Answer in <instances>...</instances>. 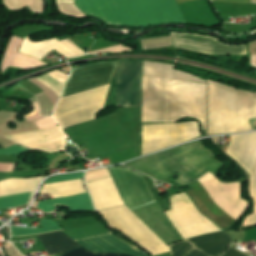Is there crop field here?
Wrapping results in <instances>:
<instances>
[{
    "mask_svg": "<svg viewBox=\"0 0 256 256\" xmlns=\"http://www.w3.org/2000/svg\"><path fill=\"white\" fill-rule=\"evenodd\" d=\"M207 84L143 76L142 121L200 120L206 130Z\"/></svg>",
    "mask_w": 256,
    "mask_h": 256,
    "instance_id": "crop-field-1",
    "label": "crop field"
},
{
    "mask_svg": "<svg viewBox=\"0 0 256 256\" xmlns=\"http://www.w3.org/2000/svg\"><path fill=\"white\" fill-rule=\"evenodd\" d=\"M147 26L164 22L186 23L175 0H131ZM130 0H75L85 14L106 24L146 27Z\"/></svg>",
    "mask_w": 256,
    "mask_h": 256,
    "instance_id": "crop-field-2",
    "label": "crop field"
},
{
    "mask_svg": "<svg viewBox=\"0 0 256 256\" xmlns=\"http://www.w3.org/2000/svg\"><path fill=\"white\" fill-rule=\"evenodd\" d=\"M172 209L164 213L179 236L184 239L220 231L206 216L198 211L186 193L171 197ZM133 212L166 244L181 241L176 231L163 215L158 203L141 207Z\"/></svg>",
    "mask_w": 256,
    "mask_h": 256,
    "instance_id": "crop-field-3",
    "label": "crop field"
},
{
    "mask_svg": "<svg viewBox=\"0 0 256 256\" xmlns=\"http://www.w3.org/2000/svg\"><path fill=\"white\" fill-rule=\"evenodd\" d=\"M126 165L159 180L168 178L176 171L181 175L175 185L190 183L208 170L214 175L222 167L201 141L128 162Z\"/></svg>",
    "mask_w": 256,
    "mask_h": 256,
    "instance_id": "crop-field-4",
    "label": "crop field"
},
{
    "mask_svg": "<svg viewBox=\"0 0 256 256\" xmlns=\"http://www.w3.org/2000/svg\"><path fill=\"white\" fill-rule=\"evenodd\" d=\"M256 118V93L209 80L208 134L250 130Z\"/></svg>",
    "mask_w": 256,
    "mask_h": 256,
    "instance_id": "crop-field-5",
    "label": "crop field"
},
{
    "mask_svg": "<svg viewBox=\"0 0 256 256\" xmlns=\"http://www.w3.org/2000/svg\"><path fill=\"white\" fill-rule=\"evenodd\" d=\"M109 85L63 97L54 109L61 128L95 119L103 108Z\"/></svg>",
    "mask_w": 256,
    "mask_h": 256,
    "instance_id": "crop-field-6",
    "label": "crop field"
},
{
    "mask_svg": "<svg viewBox=\"0 0 256 256\" xmlns=\"http://www.w3.org/2000/svg\"><path fill=\"white\" fill-rule=\"evenodd\" d=\"M143 127L142 155L162 150L200 136L197 122Z\"/></svg>",
    "mask_w": 256,
    "mask_h": 256,
    "instance_id": "crop-field-7",
    "label": "crop field"
},
{
    "mask_svg": "<svg viewBox=\"0 0 256 256\" xmlns=\"http://www.w3.org/2000/svg\"><path fill=\"white\" fill-rule=\"evenodd\" d=\"M117 61L98 62L91 65L74 68L67 80L63 96L109 84Z\"/></svg>",
    "mask_w": 256,
    "mask_h": 256,
    "instance_id": "crop-field-8",
    "label": "crop field"
},
{
    "mask_svg": "<svg viewBox=\"0 0 256 256\" xmlns=\"http://www.w3.org/2000/svg\"><path fill=\"white\" fill-rule=\"evenodd\" d=\"M107 169L130 210L155 202L142 175L122 167Z\"/></svg>",
    "mask_w": 256,
    "mask_h": 256,
    "instance_id": "crop-field-9",
    "label": "crop field"
},
{
    "mask_svg": "<svg viewBox=\"0 0 256 256\" xmlns=\"http://www.w3.org/2000/svg\"><path fill=\"white\" fill-rule=\"evenodd\" d=\"M212 199L237 220L245 212L248 203L240 197V184H222L209 171L197 179Z\"/></svg>",
    "mask_w": 256,
    "mask_h": 256,
    "instance_id": "crop-field-10",
    "label": "crop field"
},
{
    "mask_svg": "<svg viewBox=\"0 0 256 256\" xmlns=\"http://www.w3.org/2000/svg\"><path fill=\"white\" fill-rule=\"evenodd\" d=\"M226 231L196 236L190 239L193 251L197 256H219L231 242ZM189 239L167 246L172 256H196Z\"/></svg>",
    "mask_w": 256,
    "mask_h": 256,
    "instance_id": "crop-field-11",
    "label": "crop field"
},
{
    "mask_svg": "<svg viewBox=\"0 0 256 256\" xmlns=\"http://www.w3.org/2000/svg\"><path fill=\"white\" fill-rule=\"evenodd\" d=\"M141 62L119 59L117 105L140 106Z\"/></svg>",
    "mask_w": 256,
    "mask_h": 256,
    "instance_id": "crop-field-12",
    "label": "crop field"
},
{
    "mask_svg": "<svg viewBox=\"0 0 256 256\" xmlns=\"http://www.w3.org/2000/svg\"><path fill=\"white\" fill-rule=\"evenodd\" d=\"M227 152L237 159L251 175V195L255 204L254 214L244 222H256V132L231 136Z\"/></svg>",
    "mask_w": 256,
    "mask_h": 256,
    "instance_id": "crop-field-13",
    "label": "crop field"
},
{
    "mask_svg": "<svg viewBox=\"0 0 256 256\" xmlns=\"http://www.w3.org/2000/svg\"><path fill=\"white\" fill-rule=\"evenodd\" d=\"M4 137L27 148L49 153L62 151L65 145V136L58 126Z\"/></svg>",
    "mask_w": 256,
    "mask_h": 256,
    "instance_id": "crop-field-14",
    "label": "crop field"
},
{
    "mask_svg": "<svg viewBox=\"0 0 256 256\" xmlns=\"http://www.w3.org/2000/svg\"><path fill=\"white\" fill-rule=\"evenodd\" d=\"M172 36L175 47L181 49L207 54H247L246 45L226 46L215 39L199 35L172 33Z\"/></svg>",
    "mask_w": 256,
    "mask_h": 256,
    "instance_id": "crop-field-15",
    "label": "crop field"
},
{
    "mask_svg": "<svg viewBox=\"0 0 256 256\" xmlns=\"http://www.w3.org/2000/svg\"><path fill=\"white\" fill-rule=\"evenodd\" d=\"M83 247L94 252H117L135 256H147L129 242L111 232L76 239Z\"/></svg>",
    "mask_w": 256,
    "mask_h": 256,
    "instance_id": "crop-field-16",
    "label": "crop field"
},
{
    "mask_svg": "<svg viewBox=\"0 0 256 256\" xmlns=\"http://www.w3.org/2000/svg\"><path fill=\"white\" fill-rule=\"evenodd\" d=\"M53 49L67 58L86 54L68 39L59 42L56 38H54L46 41L33 43L30 41L29 36L23 40L20 52L41 60Z\"/></svg>",
    "mask_w": 256,
    "mask_h": 256,
    "instance_id": "crop-field-17",
    "label": "crop field"
},
{
    "mask_svg": "<svg viewBox=\"0 0 256 256\" xmlns=\"http://www.w3.org/2000/svg\"><path fill=\"white\" fill-rule=\"evenodd\" d=\"M86 185L98 211L124 205L111 177L88 182Z\"/></svg>",
    "mask_w": 256,
    "mask_h": 256,
    "instance_id": "crop-field-18",
    "label": "crop field"
},
{
    "mask_svg": "<svg viewBox=\"0 0 256 256\" xmlns=\"http://www.w3.org/2000/svg\"><path fill=\"white\" fill-rule=\"evenodd\" d=\"M50 256L65 253L80 247L61 231L38 235Z\"/></svg>",
    "mask_w": 256,
    "mask_h": 256,
    "instance_id": "crop-field-19",
    "label": "crop field"
},
{
    "mask_svg": "<svg viewBox=\"0 0 256 256\" xmlns=\"http://www.w3.org/2000/svg\"><path fill=\"white\" fill-rule=\"evenodd\" d=\"M63 203L69 206L70 211L95 210L88 193L57 200L41 201L38 208L44 212L55 210V204Z\"/></svg>",
    "mask_w": 256,
    "mask_h": 256,
    "instance_id": "crop-field-20",
    "label": "crop field"
},
{
    "mask_svg": "<svg viewBox=\"0 0 256 256\" xmlns=\"http://www.w3.org/2000/svg\"><path fill=\"white\" fill-rule=\"evenodd\" d=\"M44 177L0 181V197L35 191Z\"/></svg>",
    "mask_w": 256,
    "mask_h": 256,
    "instance_id": "crop-field-21",
    "label": "crop field"
},
{
    "mask_svg": "<svg viewBox=\"0 0 256 256\" xmlns=\"http://www.w3.org/2000/svg\"><path fill=\"white\" fill-rule=\"evenodd\" d=\"M49 191H52L54 199L86 192L82 179L44 185L40 193Z\"/></svg>",
    "mask_w": 256,
    "mask_h": 256,
    "instance_id": "crop-field-22",
    "label": "crop field"
},
{
    "mask_svg": "<svg viewBox=\"0 0 256 256\" xmlns=\"http://www.w3.org/2000/svg\"><path fill=\"white\" fill-rule=\"evenodd\" d=\"M39 223L44 229L10 227L12 231L11 236H28L46 231L62 230V228L52 220L41 219Z\"/></svg>",
    "mask_w": 256,
    "mask_h": 256,
    "instance_id": "crop-field-23",
    "label": "crop field"
},
{
    "mask_svg": "<svg viewBox=\"0 0 256 256\" xmlns=\"http://www.w3.org/2000/svg\"><path fill=\"white\" fill-rule=\"evenodd\" d=\"M33 193L0 198V210L27 204Z\"/></svg>",
    "mask_w": 256,
    "mask_h": 256,
    "instance_id": "crop-field-24",
    "label": "crop field"
},
{
    "mask_svg": "<svg viewBox=\"0 0 256 256\" xmlns=\"http://www.w3.org/2000/svg\"><path fill=\"white\" fill-rule=\"evenodd\" d=\"M62 256H130L124 254H93L86 250L85 248L81 247L75 251L68 252Z\"/></svg>",
    "mask_w": 256,
    "mask_h": 256,
    "instance_id": "crop-field-25",
    "label": "crop field"
},
{
    "mask_svg": "<svg viewBox=\"0 0 256 256\" xmlns=\"http://www.w3.org/2000/svg\"><path fill=\"white\" fill-rule=\"evenodd\" d=\"M27 152H31L30 150L24 149L17 145L11 146L6 149H0V155H16V154H24Z\"/></svg>",
    "mask_w": 256,
    "mask_h": 256,
    "instance_id": "crop-field-26",
    "label": "crop field"
},
{
    "mask_svg": "<svg viewBox=\"0 0 256 256\" xmlns=\"http://www.w3.org/2000/svg\"><path fill=\"white\" fill-rule=\"evenodd\" d=\"M83 174H84V172L83 173H74V174H70V175H63V176L53 177L50 180L46 181L44 184L61 182V181H66V180H71V179L83 178Z\"/></svg>",
    "mask_w": 256,
    "mask_h": 256,
    "instance_id": "crop-field-27",
    "label": "crop field"
},
{
    "mask_svg": "<svg viewBox=\"0 0 256 256\" xmlns=\"http://www.w3.org/2000/svg\"><path fill=\"white\" fill-rule=\"evenodd\" d=\"M48 75L54 77L55 79L64 82V80L66 79L67 75L63 74L62 72L56 70L54 72L51 73H47Z\"/></svg>",
    "mask_w": 256,
    "mask_h": 256,
    "instance_id": "crop-field-28",
    "label": "crop field"
},
{
    "mask_svg": "<svg viewBox=\"0 0 256 256\" xmlns=\"http://www.w3.org/2000/svg\"><path fill=\"white\" fill-rule=\"evenodd\" d=\"M222 256H244V255L230 247Z\"/></svg>",
    "mask_w": 256,
    "mask_h": 256,
    "instance_id": "crop-field-29",
    "label": "crop field"
},
{
    "mask_svg": "<svg viewBox=\"0 0 256 256\" xmlns=\"http://www.w3.org/2000/svg\"><path fill=\"white\" fill-rule=\"evenodd\" d=\"M6 251L10 256H21L12 245L10 246V248H7Z\"/></svg>",
    "mask_w": 256,
    "mask_h": 256,
    "instance_id": "crop-field-30",
    "label": "crop field"
},
{
    "mask_svg": "<svg viewBox=\"0 0 256 256\" xmlns=\"http://www.w3.org/2000/svg\"><path fill=\"white\" fill-rule=\"evenodd\" d=\"M218 2L249 3V0H211Z\"/></svg>",
    "mask_w": 256,
    "mask_h": 256,
    "instance_id": "crop-field-31",
    "label": "crop field"
},
{
    "mask_svg": "<svg viewBox=\"0 0 256 256\" xmlns=\"http://www.w3.org/2000/svg\"><path fill=\"white\" fill-rule=\"evenodd\" d=\"M57 3H73L74 0H56Z\"/></svg>",
    "mask_w": 256,
    "mask_h": 256,
    "instance_id": "crop-field-32",
    "label": "crop field"
},
{
    "mask_svg": "<svg viewBox=\"0 0 256 256\" xmlns=\"http://www.w3.org/2000/svg\"><path fill=\"white\" fill-rule=\"evenodd\" d=\"M178 4L193 1V0H176Z\"/></svg>",
    "mask_w": 256,
    "mask_h": 256,
    "instance_id": "crop-field-33",
    "label": "crop field"
},
{
    "mask_svg": "<svg viewBox=\"0 0 256 256\" xmlns=\"http://www.w3.org/2000/svg\"><path fill=\"white\" fill-rule=\"evenodd\" d=\"M250 4H256V0H250Z\"/></svg>",
    "mask_w": 256,
    "mask_h": 256,
    "instance_id": "crop-field-34",
    "label": "crop field"
},
{
    "mask_svg": "<svg viewBox=\"0 0 256 256\" xmlns=\"http://www.w3.org/2000/svg\"><path fill=\"white\" fill-rule=\"evenodd\" d=\"M0 148H3V147L0 145Z\"/></svg>",
    "mask_w": 256,
    "mask_h": 256,
    "instance_id": "crop-field-35",
    "label": "crop field"
}]
</instances>
